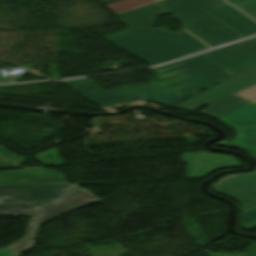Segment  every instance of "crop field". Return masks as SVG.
<instances>
[{"instance_id":"dafd665d","label":"crop field","mask_w":256,"mask_h":256,"mask_svg":"<svg viewBox=\"0 0 256 256\" xmlns=\"http://www.w3.org/2000/svg\"><path fill=\"white\" fill-rule=\"evenodd\" d=\"M226 156V155H225Z\"/></svg>"},{"instance_id":"bc2a9ffb","label":"crop field","mask_w":256,"mask_h":256,"mask_svg":"<svg viewBox=\"0 0 256 256\" xmlns=\"http://www.w3.org/2000/svg\"><path fill=\"white\" fill-rule=\"evenodd\" d=\"M249 252L251 256H256V244L251 249H249Z\"/></svg>"},{"instance_id":"412701ff","label":"crop field","mask_w":256,"mask_h":256,"mask_svg":"<svg viewBox=\"0 0 256 256\" xmlns=\"http://www.w3.org/2000/svg\"><path fill=\"white\" fill-rule=\"evenodd\" d=\"M99 199L86 190H78L40 209L27 212L32 217L25 237L13 245L0 250V256H16L32 248L40 224L64 215L70 211L98 203ZM4 214L12 215L8 212Z\"/></svg>"},{"instance_id":"f4fd0767","label":"crop field","mask_w":256,"mask_h":256,"mask_svg":"<svg viewBox=\"0 0 256 256\" xmlns=\"http://www.w3.org/2000/svg\"><path fill=\"white\" fill-rule=\"evenodd\" d=\"M79 188L66 183L56 185H12L0 186V214L8 211L12 214H26L53 200L72 193Z\"/></svg>"},{"instance_id":"d8731c3e","label":"crop field","mask_w":256,"mask_h":256,"mask_svg":"<svg viewBox=\"0 0 256 256\" xmlns=\"http://www.w3.org/2000/svg\"><path fill=\"white\" fill-rule=\"evenodd\" d=\"M218 119L237 130L231 142L256 152V105L249 102Z\"/></svg>"},{"instance_id":"34b2d1b8","label":"crop field","mask_w":256,"mask_h":256,"mask_svg":"<svg viewBox=\"0 0 256 256\" xmlns=\"http://www.w3.org/2000/svg\"><path fill=\"white\" fill-rule=\"evenodd\" d=\"M159 3L182 19L184 28L211 47L242 39L205 12L227 5L223 0H165Z\"/></svg>"},{"instance_id":"3316defc","label":"crop field","mask_w":256,"mask_h":256,"mask_svg":"<svg viewBox=\"0 0 256 256\" xmlns=\"http://www.w3.org/2000/svg\"><path fill=\"white\" fill-rule=\"evenodd\" d=\"M164 9L160 6L153 4L147 7H143L128 13L118 15L117 17L121 19L130 28H140V27H153L156 23V16L166 14Z\"/></svg>"},{"instance_id":"22f410ed","label":"crop field","mask_w":256,"mask_h":256,"mask_svg":"<svg viewBox=\"0 0 256 256\" xmlns=\"http://www.w3.org/2000/svg\"><path fill=\"white\" fill-rule=\"evenodd\" d=\"M36 159L38 162H41L43 164H51V165L64 164L63 160L58 156L55 149L48 150L42 154H36Z\"/></svg>"},{"instance_id":"d9b57169","label":"crop field","mask_w":256,"mask_h":256,"mask_svg":"<svg viewBox=\"0 0 256 256\" xmlns=\"http://www.w3.org/2000/svg\"><path fill=\"white\" fill-rule=\"evenodd\" d=\"M256 220V209L241 215L242 225Z\"/></svg>"},{"instance_id":"5142ce71","label":"crop field","mask_w":256,"mask_h":256,"mask_svg":"<svg viewBox=\"0 0 256 256\" xmlns=\"http://www.w3.org/2000/svg\"><path fill=\"white\" fill-rule=\"evenodd\" d=\"M236 94L240 95L241 97H243L247 100L255 98L256 97V85L252 86L250 88L244 89Z\"/></svg>"},{"instance_id":"733c2abd","label":"crop field","mask_w":256,"mask_h":256,"mask_svg":"<svg viewBox=\"0 0 256 256\" xmlns=\"http://www.w3.org/2000/svg\"><path fill=\"white\" fill-rule=\"evenodd\" d=\"M208 256H249L247 252L241 254H226V253H214L210 250H205Z\"/></svg>"},{"instance_id":"e52e79f7","label":"crop field","mask_w":256,"mask_h":256,"mask_svg":"<svg viewBox=\"0 0 256 256\" xmlns=\"http://www.w3.org/2000/svg\"><path fill=\"white\" fill-rule=\"evenodd\" d=\"M255 83L256 67L220 83L219 86H214L203 93H199L187 100H184L174 105L173 107L193 111L199 107L229 96L234 92H237Z\"/></svg>"},{"instance_id":"92a150f3","label":"crop field","mask_w":256,"mask_h":256,"mask_svg":"<svg viewBox=\"0 0 256 256\" xmlns=\"http://www.w3.org/2000/svg\"><path fill=\"white\" fill-rule=\"evenodd\" d=\"M0 205H2V202H1V200H0Z\"/></svg>"},{"instance_id":"214f88e0","label":"crop field","mask_w":256,"mask_h":256,"mask_svg":"<svg viewBox=\"0 0 256 256\" xmlns=\"http://www.w3.org/2000/svg\"><path fill=\"white\" fill-rule=\"evenodd\" d=\"M251 102H253L254 104H256V98L255 99H252V100H249Z\"/></svg>"},{"instance_id":"d1516ede","label":"crop field","mask_w":256,"mask_h":256,"mask_svg":"<svg viewBox=\"0 0 256 256\" xmlns=\"http://www.w3.org/2000/svg\"><path fill=\"white\" fill-rule=\"evenodd\" d=\"M159 1L162 0H119L107 7L118 15Z\"/></svg>"},{"instance_id":"dd49c442","label":"crop field","mask_w":256,"mask_h":256,"mask_svg":"<svg viewBox=\"0 0 256 256\" xmlns=\"http://www.w3.org/2000/svg\"><path fill=\"white\" fill-rule=\"evenodd\" d=\"M216 145L240 149L256 159V154L224 141ZM214 189L240 201L243 204L242 213L256 208V172L225 177L214 186Z\"/></svg>"},{"instance_id":"ac0d7876","label":"crop field","mask_w":256,"mask_h":256,"mask_svg":"<svg viewBox=\"0 0 256 256\" xmlns=\"http://www.w3.org/2000/svg\"><path fill=\"white\" fill-rule=\"evenodd\" d=\"M105 39L150 65L208 48L186 32L171 35L158 28L128 29Z\"/></svg>"},{"instance_id":"8a807250","label":"crop field","mask_w":256,"mask_h":256,"mask_svg":"<svg viewBox=\"0 0 256 256\" xmlns=\"http://www.w3.org/2000/svg\"><path fill=\"white\" fill-rule=\"evenodd\" d=\"M256 65V37L157 69L147 86L103 91L85 79L64 81L102 106L137 98L170 106Z\"/></svg>"},{"instance_id":"4a817a6b","label":"crop field","mask_w":256,"mask_h":256,"mask_svg":"<svg viewBox=\"0 0 256 256\" xmlns=\"http://www.w3.org/2000/svg\"><path fill=\"white\" fill-rule=\"evenodd\" d=\"M242 227L247 230L256 228V221L243 225Z\"/></svg>"},{"instance_id":"28ad6ade","label":"crop field","mask_w":256,"mask_h":256,"mask_svg":"<svg viewBox=\"0 0 256 256\" xmlns=\"http://www.w3.org/2000/svg\"><path fill=\"white\" fill-rule=\"evenodd\" d=\"M247 102L249 101H246L245 99L234 94L209 104L206 109L200 112V114L216 117L220 114H224L230 110H233Z\"/></svg>"},{"instance_id":"cbeb9de0","label":"crop field","mask_w":256,"mask_h":256,"mask_svg":"<svg viewBox=\"0 0 256 256\" xmlns=\"http://www.w3.org/2000/svg\"><path fill=\"white\" fill-rule=\"evenodd\" d=\"M228 1L256 19V0H228Z\"/></svg>"},{"instance_id":"5a996713","label":"crop field","mask_w":256,"mask_h":256,"mask_svg":"<svg viewBox=\"0 0 256 256\" xmlns=\"http://www.w3.org/2000/svg\"><path fill=\"white\" fill-rule=\"evenodd\" d=\"M207 12L243 38L256 34V23L230 5Z\"/></svg>"}]
</instances>
